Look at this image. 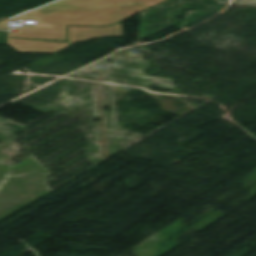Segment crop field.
Wrapping results in <instances>:
<instances>
[{"label":"crop field","instance_id":"crop-field-1","mask_svg":"<svg viewBox=\"0 0 256 256\" xmlns=\"http://www.w3.org/2000/svg\"><path fill=\"white\" fill-rule=\"evenodd\" d=\"M37 27L62 29V26H58V25H52V26L37 25Z\"/></svg>","mask_w":256,"mask_h":256}]
</instances>
